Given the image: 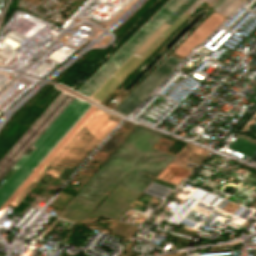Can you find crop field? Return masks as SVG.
<instances>
[{
    "label": "crop field",
    "mask_w": 256,
    "mask_h": 256,
    "mask_svg": "<svg viewBox=\"0 0 256 256\" xmlns=\"http://www.w3.org/2000/svg\"><path fill=\"white\" fill-rule=\"evenodd\" d=\"M162 134L138 126L105 164L85 184L81 191L98 197L112 182L142 192L152 181L138 174L140 171L156 177L173 156L151 148Z\"/></svg>",
    "instance_id": "8a807250"
},
{
    "label": "crop field",
    "mask_w": 256,
    "mask_h": 256,
    "mask_svg": "<svg viewBox=\"0 0 256 256\" xmlns=\"http://www.w3.org/2000/svg\"><path fill=\"white\" fill-rule=\"evenodd\" d=\"M91 105L74 98L54 122L33 144L36 148L28 156L23 155L13 166L17 169L0 188V206L12 192L28 177L66 132Z\"/></svg>",
    "instance_id": "ac0d7876"
},
{
    "label": "crop field",
    "mask_w": 256,
    "mask_h": 256,
    "mask_svg": "<svg viewBox=\"0 0 256 256\" xmlns=\"http://www.w3.org/2000/svg\"><path fill=\"white\" fill-rule=\"evenodd\" d=\"M185 0H168L146 23H144L100 68H98L76 91L87 97Z\"/></svg>",
    "instance_id": "34b2d1b8"
},
{
    "label": "crop field",
    "mask_w": 256,
    "mask_h": 256,
    "mask_svg": "<svg viewBox=\"0 0 256 256\" xmlns=\"http://www.w3.org/2000/svg\"><path fill=\"white\" fill-rule=\"evenodd\" d=\"M73 99L72 96L61 92L58 97L49 105L41 116L32 124L24 135L16 142L9 152L0 160V179L27 151L35 140L44 132L52 121Z\"/></svg>",
    "instance_id": "412701ff"
},
{
    "label": "crop field",
    "mask_w": 256,
    "mask_h": 256,
    "mask_svg": "<svg viewBox=\"0 0 256 256\" xmlns=\"http://www.w3.org/2000/svg\"><path fill=\"white\" fill-rule=\"evenodd\" d=\"M203 1L196 0L185 12L191 14ZM183 13L156 41H154L133 63L125 60L88 98L101 103L144 59H146L188 16Z\"/></svg>",
    "instance_id": "f4fd0767"
},
{
    "label": "crop field",
    "mask_w": 256,
    "mask_h": 256,
    "mask_svg": "<svg viewBox=\"0 0 256 256\" xmlns=\"http://www.w3.org/2000/svg\"><path fill=\"white\" fill-rule=\"evenodd\" d=\"M181 59L169 55L145 80H143L114 110L126 115L133 107L167 77Z\"/></svg>",
    "instance_id": "dd49c442"
},
{
    "label": "crop field",
    "mask_w": 256,
    "mask_h": 256,
    "mask_svg": "<svg viewBox=\"0 0 256 256\" xmlns=\"http://www.w3.org/2000/svg\"><path fill=\"white\" fill-rule=\"evenodd\" d=\"M225 19L213 12L173 52L184 58L194 46L199 45Z\"/></svg>",
    "instance_id": "e52e79f7"
},
{
    "label": "crop field",
    "mask_w": 256,
    "mask_h": 256,
    "mask_svg": "<svg viewBox=\"0 0 256 256\" xmlns=\"http://www.w3.org/2000/svg\"><path fill=\"white\" fill-rule=\"evenodd\" d=\"M95 107H91L85 115L70 129V131L59 141V143L53 148V150L46 156V158L40 163V165L31 173V175L18 187V189L7 199V201L0 207V210L8 207L18 194L27 186V184L40 172V170L46 165V163L53 157V155L66 143V141L76 132V130L82 125V123L89 117V115L95 110Z\"/></svg>",
    "instance_id": "d8731c3e"
},
{
    "label": "crop field",
    "mask_w": 256,
    "mask_h": 256,
    "mask_svg": "<svg viewBox=\"0 0 256 256\" xmlns=\"http://www.w3.org/2000/svg\"><path fill=\"white\" fill-rule=\"evenodd\" d=\"M194 0H186L183 5L172 14L178 17ZM170 16L127 60L133 62L176 18Z\"/></svg>",
    "instance_id": "5a996713"
},
{
    "label": "crop field",
    "mask_w": 256,
    "mask_h": 256,
    "mask_svg": "<svg viewBox=\"0 0 256 256\" xmlns=\"http://www.w3.org/2000/svg\"><path fill=\"white\" fill-rule=\"evenodd\" d=\"M240 3L241 0H216L210 8L228 17Z\"/></svg>",
    "instance_id": "3316defc"
}]
</instances>
